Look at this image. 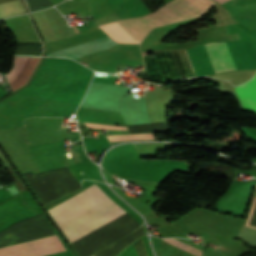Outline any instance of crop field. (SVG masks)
Listing matches in <instances>:
<instances>
[{
  "instance_id": "crop-field-1",
  "label": "crop field",
  "mask_w": 256,
  "mask_h": 256,
  "mask_svg": "<svg viewBox=\"0 0 256 256\" xmlns=\"http://www.w3.org/2000/svg\"><path fill=\"white\" fill-rule=\"evenodd\" d=\"M109 199L95 184L47 210L59 226ZM124 213L111 199L59 227L72 243Z\"/></svg>"
},
{
  "instance_id": "crop-field-2",
  "label": "crop field",
  "mask_w": 256,
  "mask_h": 256,
  "mask_svg": "<svg viewBox=\"0 0 256 256\" xmlns=\"http://www.w3.org/2000/svg\"><path fill=\"white\" fill-rule=\"evenodd\" d=\"M215 2L212 0H173L156 10L171 20L178 22L203 15ZM140 18L121 20L118 23L138 43L156 26L173 23L158 12ZM117 22L101 25L111 38L121 43H136Z\"/></svg>"
},
{
  "instance_id": "crop-field-3",
  "label": "crop field",
  "mask_w": 256,
  "mask_h": 256,
  "mask_svg": "<svg viewBox=\"0 0 256 256\" xmlns=\"http://www.w3.org/2000/svg\"><path fill=\"white\" fill-rule=\"evenodd\" d=\"M65 248L57 235L0 248V256H43Z\"/></svg>"
},
{
  "instance_id": "crop-field-4",
  "label": "crop field",
  "mask_w": 256,
  "mask_h": 256,
  "mask_svg": "<svg viewBox=\"0 0 256 256\" xmlns=\"http://www.w3.org/2000/svg\"><path fill=\"white\" fill-rule=\"evenodd\" d=\"M40 58L13 56V67L5 75L13 91L27 83Z\"/></svg>"
},
{
  "instance_id": "crop-field-5",
  "label": "crop field",
  "mask_w": 256,
  "mask_h": 256,
  "mask_svg": "<svg viewBox=\"0 0 256 256\" xmlns=\"http://www.w3.org/2000/svg\"><path fill=\"white\" fill-rule=\"evenodd\" d=\"M216 73L236 70V66L225 42L205 44Z\"/></svg>"
},
{
  "instance_id": "crop-field-6",
  "label": "crop field",
  "mask_w": 256,
  "mask_h": 256,
  "mask_svg": "<svg viewBox=\"0 0 256 256\" xmlns=\"http://www.w3.org/2000/svg\"><path fill=\"white\" fill-rule=\"evenodd\" d=\"M256 88V75L252 79ZM252 81H248L237 88H235L240 101L245 110H250L256 113V90Z\"/></svg>"
},
{
  "instance_id": "crop-field-7",
  "label": "crop field",
  "mask_w": 256,
  "mask_h": 256,
  "mask_svg": "<svg viewBox=\"0 0 256 256\" xmlns=\"http://www.w3.org/2000/svg\"><path fill=\"white\" fill-rule=\"evenodd\" d=\"M25 12L20 0L0 4V18Z\"/></svg>"
},
{
  "instance_id": "crop-field-8",
  "label": "crop field",
  "mask_w": 256,
  "mask_h": 256,
  "mask_svg": "<svg viewBox=\"0 0 256 256\" xmlns=\"http://www.w3.org/2000/svg\"><path fill=\"white\" fill-rule=\"evenodd\" d=\"M162 240H164V241H166V242H168V243H170V244H172L174 246H177V247H179V248H181V249H183L185 251H188V252H190V253H192V254H194L196 256H200L201 253H202V251H200V250H198L196 248H193V247H191V246H189V245H187L185 243H182V242H180V241H178V240H176L174 238H168V239H162Z\"/></svg>"
},
{
  "instance_id": "crop-field-9",
  "label": "crop field",
  "mask_w": 256,
  "mask_h": 256,
  "mask_svg": "<svg viewBox=\"0 0 256 256\" xmlns=\"http://www.w3.org/2000/svg\"><path fill=\"white\" fill-rule=\"evenodd\" d=\"M110 141L119 140H135V139H155L153 134H135V135H119V136H108Z\"/></svg>"
},
{
  "instance_id": "crop-field-10",
  "label": "crop field",
  "mask_w": 256,
  "mask_h": 256,
  "mask_svg": "<svg viewBox=\"0 0 256 256\" xmlns=\"http://www.w3.org/2000/svg\"><path fill=\"white\" fill-rule=\"evenodd\" d=\"M134 245L137 250L138 256H148L143 239H140Z\"/></svg>"
},
{
  "instance_id": "crop-field-11",
  "label": "crop field",
  "mask_w": 256,
  "mask_h": 256,
  "mask_svg": "<svg viewBox=\"0 0 256 256\" xmlns=\"http://www.w3.org/2000/svg\"><path fill=\"white\" fill-rule=\"evenodd\" d=\"M89 127H97V128H111V129H123L127 130L126 126H118V125H103V124H90V123H85Z\"/></svg>"
},
{
  "instance_id": "crop-field-12",
  "label": "crop field",
  "mask_w": 256,
  "mask_h": 256,
  "mask_svg": "<svg viewBox=\"0 0 256 256\" xmlns=\"http://www.w3.org/2000/svg\"><path fill=\"white\" fill-rule=\"evenodd\" d=\"M256 189V188H255Z\"/></svg>"
}]
</instances>
